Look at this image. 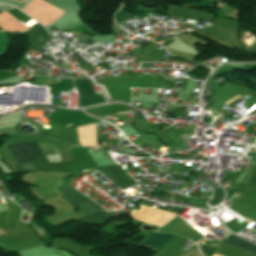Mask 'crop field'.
Returning a JSON list of instances; mask_svg holds the SVG:
<instances>
[{"label": "crop field", "mask_w": 256, "mask_h": 256, "mask_svg": "<svg viewBox=\"0 0 256 256\" xmlns=\"http://www.w3.org/2000/svg\"><path fill=\"white\" fill-rule=\"evenodd\" d=\"M7 148L10 150L19 164L30 162L32 158L42 154L36 142L9 145Z\"/></svg>", "instance_id": "obj_1"}, {"label": "crop field", "mask_w": 256, "mask_h": 256, "mask_svg": "<svg viewBox=\"0 0 256 256\" xmlns=\"http://www.w3.org/2000/svg\"><path fill=\"white\" fill-rule=\"evenodd\" d=\"M58 190L64 194L61 197H63L65 200H67L69 203H71L72 205H74L75 207H77L87 215L99 210L94 205H92L91 203L83 199L81 196H79L78 194H76L66 186Z\"/></svg>", "instance_id": "obj_2"}, {"label": "crop field", "mask_w": 256, "mask_h": 256, "mask_svg": "<svg viewBox=\"0 0 256 256\" xmlns=\"http://www.w3.org/2000/svg\"><path fill=\"white\" fill-rule=\"evenodd\" d=\"M175 235L171 233H158L153 232L149 237H147L141 245L152 248L159 251L171 238Z\"/></svg>", "instance_id": "obj_3"}, {"label": "crop field", "mask_w": 256, "mask_h": 256, "mask_svg": "<svg viewBox=\"0 0 256 256\" xmlns=\"http://www.w3.org/2000/svg\"><path fill=\"white\" fill-rule=\"evenodd\" d=\"M223 244H227V245H230V246H233V247H237V248H240V249H243V250H246V251H249V252H252V253L256 254V246L255 245H253L249 242H246V241H244L240 238H237L234 235H232L227 240H225L223 242Z\"/></svg>", "instance_id": "obj_4"}, {"label": "crop field", "mask_w": 256, "mask_h": 256, "mask_svg": "<svg viewBox=\"0 0 256 256\" xmlns=\"http://www.w3.org/2000/svg\"><path fill=\"white\" fill-rule=\"evenodd\" d=\"M110 216L111 215H109V214L97 212L91 216L82 218V219L78 220L77 222H83V223L102 226L110 218Z\"/></svg>", "instance_id": "obj_5"}, {"label": "crop field", "mask_w": 256, "mask_h": 256, "mask_svg": "<svg viewBox=\"0 0 256 256\" xmlns=\"http://www.w3.org/2000/svg\"><path fill=\"white\" fill-rule=\"evenodd\" d=\"M7 33L0 32V54L5 53V49L8 44V39L6 38Z\"/></svg>", "instance_id": "obj_6"}, {"label": "crop field", "mask_w": 256, "mask_h": 256, "mask_svg": "<svg viewBox=\"0 0 256 256\" xmlns=\"http://www.w3.org/2000/svg\"><path fill=\"white\" fill-rule=\"evenodd\" d=\"M237 96H238V95H237ZM238 97H239V96H238ZM238 97L232 99L231 101H229V102H227V103H225V104H226V105L229 104L230 102L234 101V100L237 99Z\"/></svg>", "instance_id": "obj_7"}, {"label": "crop field", "mask_w": 256, "mask_h": 256, "mask_svg": "<svg viewBox=\"0 0 256 256\" xmlns=\"http://www.w3.org/2000/svg\"><path fill=\"white\" fill-rule=\"evenodd\" d=\"M214 256H216V254H214Z\"/></svg>", "instance_id": "obj_8"}, {"label": "crop field", "mask_w": 256, "mask_h": 256, "mask_svg": "<svg viewBox=\"0 0 256 256\" xmlns=\"http://www.w3.org/2000/svg\"><path fill=\"white\" fill-rule=\"evenodd\" d=\"M130 112V111H129ZM122 113V112H121Z\"/></svg>", "instance_id": "obj_9"}]
</instances>
